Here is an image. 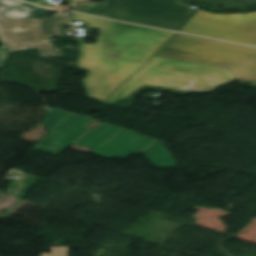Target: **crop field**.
<instances>
[{"mask_svg": "<svg viewBox=\"0 0 256 256\" xmlns=\"http://www.w3.org/2000/svg\"><path fill=\"white\" fill-rule=\"evenodd\" d=\"M180 31L256 45V12L210 14L199 10Z\"/></svg>", "mask_w": 256, "mask_h": 256, "instance_id": "crop-field-6", "label": "crop field"}, {"mask_svg": "<svg viewBox=\"0 0 256 256\" xmlns=\"http://www.w3.org/2000/svg\"><path fill=\"white\" fill-rule=\"evenodd\" d=\"M6 58H7V51L3 46H1L0 47V68L2 67L3 62L6 61Z\"/></svg>", "mask_w": 256, "mask_h": 256, "instance_id": "crop-field-15", "label": "crop field"}, {"mask_svg": "<svg viewBox=\"0 0 256 256\" xmlns=\"http://www.w3.org/2000/svg\"><path fill=\"white\" fill-rule=\"evenodd\" d=\"M52 254L42 252L41 256H68L69 247L67 246H58L51 247Z\"/></svg>", "mask_w": 256, "mask_h": 256, "instance_id": "crop-field-14", "label": "crop field"}, {"mask_svg": "<svg viewBox=\"0 0 256 256\" xmlns=\"http://www.w3.org/2000/svg\"><path fill=\"white\" fill-rule=\"evenodd\" d=\"M73 21H83L100 30L96 44H83L79 66L90 70L82 79L89 98L105 101L128 77L143 66L174 34L71 13Z\"/></svg>", "mask_w": 256, "mask_h": 256, "instance_id": "crop-field-1", "label": "crop field"}, {"mask_svg": "<svg viewBox=\"0 0 256 256\" xmlns=\"http://www.w3.org/2000/svg\"><path fill=\"white\" fill-rule=\"evenodd\" d=\"M93 0H67V5L69 7H75L79 2H92Z\"/></svg>", "mask_w": 256, "mask_h": 256, "instance_id": "crop-field-16", "label": "crop field"}, {"mask_svg": "<svg viewBox=\"0 0 256 256\" xmlns=\"http://www.w3.org/2000/svg\"><path fill=\"white\" fill-rule=\"evenodd\" d=\"M45 11L18 0H0V19L41 17Z\"/></svg>", "mask_w": 256, "mask_h": 256, "instance_id": "crop-field-9", "label": "crop field"}, {"mask_svg": "<svg viewBox=\"0 0 256 256\" xmlns=\"http://www.w3.org/2000/svg\"><path fill=\"white\" fill-rule=\"evenodd\" d=\"M230 68L237 80L256 84V49L175 33L155 54Z\"/></svg>", "mask_w": 256, "mask_h": 256, "instance_id": "crop-field-3", "label": "crop field"}, {"mask_svg": "<svg viewBox=\"0 0 256 256\" xmlns=\"http://www.w3.org/2000/svg\"><path fill=\"white\" fill-rule=\"evenodd\" d=\"M155 141L156 139L141 136L130 130L123 129L94 154L108 159L114 156L126 158L132 153L143 152Z\"/></svg>", "mask_w": 256, "mask_h": 256, "instance_id": "crop-field-8", "label": "crop field"}, {"mask_svg": "<svg viewBox=\"0 0 256 256\" xmlns=\"http://www.w3.org/2000/svg\"><path fill=\"white\" fill-rule=\"evenodd\" d=\"M120 130H122V128L103 123L96 130L88 131L74 144L86 146L91 150L97 151Z\"/></svg>", "mask_w": 256, "mask_h": 256, "instance_id": "crop-field-10", "label": "crop field"}, {"mask_svg": "<svg viewBox=\"0 0 256 256\" xmlns=\"http://www.w3.org/2000/svg\"><path fill=\"white\" fill-rule=\"evenodd\" d=\"M145 65L106 102L120 100L144 84L196 94H210L219 86L236 81L231 70L209 65L155 56Z\"/></svg>", "mask_w": 256, "mask_h": 256, "instance_id": "crop-field-2", "label": "crop field"}, {"mask_svg": "<svg viewBox=\"0 0 256 256\" xmlns=\"http://www.w3.org/2000/svg\"><path fill=\"white\" fill-rule=\"evenodd\" d=\"M179 0H106L73 10L177 31L195 9Z\"/></svg>", "mask_w": 256, "mask_h": 256, "instance_id": "crop-field-4", "label": "crop field"}, {"mask_svg": "<svg viewBox=\"0 0 256 256\" xmlns=\"http://www.w3.org/2000/svg\"><path fill=\"white\" fill-rule=\"evenodd\" d=\"M68 24L66 13L57 11L51 18L0 20V40L10 51L35 48L41 56H62L48 40L61 37L59 25Z\"/></svg>", "mask_w": 256, "mask_h": 256, "instance_id": "crop-field-5", "label": "crop field"}, {"mask_svg": "<svg viewBox=\"0 0 256 256\" xmlns=\"http://www.w3.org/2000/svg\"><path fill=\"white\" fill-rule=\"evenodd\" d=\"M143 154L157 167L174 168L176 166L174 158L160 140L153 143Z\"/></svg>", "mask_w": 256, "mask_h": 256, "instance_id": "crop-field-11", "label": "crop field"}, {"mask_svg": "<svg viewBox=\"0 0 256 256\" xmlns=\"http://www.w3.org/2000/svg\"><path fill=\"white\" fill-rule=\"evenodd\" d=\"M196 1L209 2L215 6H220V7L256 6V0H196Z\"/></svg>", "mask_w": 256, "mask_h": 256, "instance_id": "crop-field-13", "label": "crop field"}, {"mask_svg": "<svg viewBox=\"0 0 256 256\" xmlns=\"http://www.w3.org/2000/svg\"><path fill=\"white\" fill-rule=\"evenodd\" d=\"M4 180L12 182L6 194L23 198L25 193L32 188V186L38 180V178H34L27 175L23 180L7 178H4Z\"/></svg>", "mask_w": 256, "mask_h": 256, "instance_id": "crop-field-12", "label": "crop field"}, {"mask_svg": "<svg viewBox=\"0 0 256 256\" xmlns=\"http://www.w3.org/2000/svg\"><path fill=\"white\" fill-rule=\"evenodd\" d=\"M87 118L52 108L45 113L43 119L44 129H51L52 131L35 146L60 153L89 130L86 127L91 122L85 121Z\"/></svg>", "mask_w": 256, "mask_h": 256, "instance_id": "crop-field-7", "label": "crop field"}]
</instances>
